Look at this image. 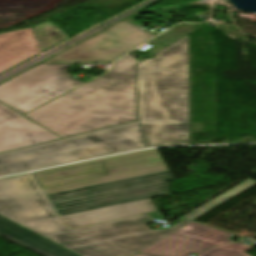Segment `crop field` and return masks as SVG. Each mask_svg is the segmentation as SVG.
<instances>
[{
  "instance_id": "crop-field-16",
  "label": "crop field",
  "mask_w": 256,
  "mask_h": 256,
  "mask_svg": "<svg viewBox=\"0 0 256 256\" xmlns=\"http://www.w3.org/2000/svg\"><path fill=\"white\" fill-rule=\"evenodd\" d=\"M250 248L252 247L242 245L240 243L228 244L208 249L203 253L199 254V256H239Z\"/></svg>"
},
{
  "instance_id": "crop-field-9",
  "label": "crop field",
  "mask_w": 256,
  "mask_h": 256,
  "mask_svg": "<svg viewBox=\"0 0 256 256\" xmlns=\"http://www.w3.org/2000/svg\"><path fill=\"white\" fill-rule=\"evenodd\" d=\"M233 234L190 223L168 237L143 250L142 254L157 256H189L212 246L231 243Z\"/></svg>"
},
{
  "instance_id": "crop-field-5",
  "label": "crop field",
  "mask_w": 256,
  "mask_h": 256,
  "mask_svg": "<svg viewBox=\"0 0 256 256\" xmlns=\"http://www.w3.org/2000/svg\"><path fill=\"white\" fill-rule=\"evenodd\" d=\"M169 171L47 195L60 216L169 193Z\"/></svg>"
},
{
  "instance_id": "crop-field-3",
  "label": "crop field",
  "mask_w": 256,
  "mask_h": 256,
  "mask_svg": "<svg viewBox=\"0 0 256 256\" xmlns=\"http://www.w3.org/2000/svg\"><path fill=\"white\" fill-rule=\"evenodd\" d=\"M147 215L67 230L58 217L22 224L81 256H132L187 225L184 220L166 230L151 231Z\"/></svg>"
},
{
  "instance_id": "crop-field-8",
  "label": "crop field",
  "mask_w": 256,
  "mask_h": 256,
  "mask_svg": "<svg viewBox=\"0 0 256 256\" xmlns=\"http://www.w3.org/2000/svg\"><path fill=\"white\" fill-rule=\"evenodd\" d=\"M0 215L18 224L56 216L31 174L0 179Z\"/></svg>"
},
{
  "instance_id": "crop-field-13",
  "label": "crop field",
  "mask_w": 256,
  "mask_h": 256,
  "mask_svg": "<svg viewBox=\"0 0 256 256\" xmlns=\"http://www.w3.org/2000/svg\"><path fill=\"white\" fill-rule=\"evenodd\" d=\"M0 235L42 255L77 256L74 253L0 216Z\"/></svg>"
},
{
  "instance_id": "crop-field-14",
  "label": "crop field",
  "mask_w": 256,
  "mask_h": 256,
  "mask_svg": "<svg viewBox=\"0 0 256 256\" xmlns=\"http://www.w3.org/2000/svg\"><path fill=\"white\" fill-rule=\"evenodd\" d=\"M36 34L41 51H44L68 38L63 31L53 25L51 22L46 21L33 28Z\"/></svg>"
},
{
  "instance_id": "crop-field-10",
  "label": "crop field",
  "mask_w": 256,
  "mask_h": 256,
  "mask_svg": "<svg viewBox=\"0 0 256 256\" xmlns=\"http://www.w3.org/2000/svg\"><path fill=\"white\" fill-rule=\"evenodd\" d=\"M59 138L0 103V153Z\"/></svg>"
},
{
  "instance_id": "crop-field-4",
  "label": "crop field",
  "mask_w": 256,
  "mask_h": 256,
  "mask_svg": "<svg viewBox=\"0 0 256 256\" xmlns=\"http://www.w3.org/2000/svg\"><path fill=\"white\" fill-rule=\"evenodd\" d=\"M105 159H109V161L103 162L106 175H104L101 162L39 174L64 167L86 164ZM99 160L37 171L34 172V175L46 193L49 194L168 170L156 149L118 155Z\"/></svg>"
},
{
  "instance_id": "crop-field-2",
  "label": "crop field",
  "mask_w": 256,
  "mask_h": 256,
  "mask_svg": "<svg viewBox=\"0 0 256 256\" xmlns=\"http://www.w3.org/2000/svg\"><path fill=\"white\" fill-rule=\"evenodd\" d=\"M137 63L127 55L103 76L24 116L62 138L138 120Z\"/></svg>"
},
{
  "instance_id": "crop-field-12",
  "label": "crop field",
  "mask_w": 256,
  "mask_h": 256,
  "mask_svg": "<svg viewBox=\"0 0 256 256\" xmlns=\"http://www.w3.org/2000/svg\"><path fill=\"white\" fill-rule=\"evenodd\" d=\"M153 202V201H152ZM150 199L135 201L76 214L62 216V219L69 227L82 226L96 222L123 218L128 216L140 215L152 211L157 208Z\"/></svg>"
},
{
  "instance_id": "crop-field-17",
  "label": "crop field",
  "mask_w": 256,
  "mask_h": 256,
  "mask_svg": "<svg viewBox=\"0 0 256 256\" xmlns=\"http://www.w3.org/2000/svg\"><path fill=\"white\" fill-rule=\"evenodd\" d=\"M241 256H249V255H247V254L244 253V254H242Z\"/></svg>"
},
{
  "instance_id": "crop-field-1",
  "label": "crop field",
  "mask_w": 256,
  "mask_h": 256,
  "mask_svg": "<svg viewBox=\"0 0 256 256\" xmlns=\"http://www.w3.org/2000/svg\"><path fill=\"white\" fill-rule=\"evenodd\" d=\"M139 120L0 154V173L57 165L150 146L189 144L187 36L137 64Z\"/></svg>"
},
{
  "instance_id": "crop-field-18",
  "label": "crop field",
  "mask_w": 256,
  "mask_h": 256,
  "mask_svg": "<svg viewBox=\"0 0 256 256\" xmlns=\"http://www.w3.org/2000/svg\"><path fill=\"white\" fill-rule=\"evenodd\" d=\"M134 256H143V255L136 254V255H134Z\"/></svg>"
},
{
  "instance_id": "crop-field-6",
  "label": "crop field",
  "mask_w": 256,
  "mask_h": 256,
  "mask_svg": "<svg viewBox=\"0 0 256 256\" xmlns=\"http://www.w3.org/2000/svg\"><path fill=\"white\" fill-rule=\"evenodd\" d=\"M72 64L41 63L0 84V101L26 113L83 84L65 72Z\"/></svg>"
},
{
  "instance_id": "crop-field-11",
  "label": "crop field",
  "mask_w": 256,
  "mask_h": 256,
  "mask_svg": "<svg viewBox=\"0 0 256 256\" xmlns=\"http://www.w3.org/2000/svg\"><path fill=\"white\" fill-rule=\"evenodd\" d=\"M40 52L31 28L0 34V73Z\"/></svg>"
},
{
  "instance_id": "crop-field-15",
  "label": "crop field",
  "mask_w": 256,
  "mask_h": 256,
  "mask_svg": "<svg viewBox=\"0 0 256 256\" xmlns=\"http://www.w3.org/2000/svg\"><path fill=\"white\" fill-rule=\"evenodd\" d=\"M255 184V181L248 179L242 182L241 184L235 186L234 188L228 190L227 192L221 194L220 196L214 198L213 200L207 202L206 204L191 212L184 218L194 220L200 217L201 215L205 214L206 212L212 210L213 208L217 207L218 205L224 203L225 201L231 199L232 197L238 195L239 193L245 191L246 189L252 187Z\"/></svg>"
},
{
  "instance_id": "crop-field-7",
  "label": "crop field",
  "mask_w": 256,
  "mask_h": 256,
  "mask_svg": "<svg viewBox=\"0 0 256 256\" xmlns=\"http://www.w3.org/2000/svg\"><path fill=\"white\" fill-rule=\"evenodd\" d=\"M151 37L123 21L45 62L111 63Z\"/></svg>"
}]
</instances>
